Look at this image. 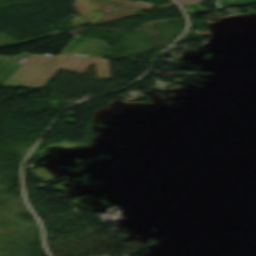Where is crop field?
<instances>
[{
	"mask_svg": "<svg viewBox=\"0 0 256 256\" xmlns=\"http://www.w3.org/2000/svg\"><path fill=\"white\" fill-rule=\"evenodd\" d=\"M93 63H96L97 79H110L107 59L32 54L3 85L40 89L59 69L84 75Z\"/></svg>",
	"mask_w": 256,
	"mask_h": 256,
	"instance_id": "1",
	"label": "crop field"
},
{
	"mask_svg": "<svg viewBox=\"0 0 256 256\" xmlns=\"http://www.w3.org/2000/svg\"><path fill=\"white\" fill-rule=\"evenodd\" d=\"M109 1L123 3V4L120 6L113 7L111 15H108V16H105L100 10L103 8L102 5L109 3L105 0H74L73 7H75L80 13H82L85 17H87L89 22H91L94 25L130 17L135 15L133 11L140 10L138 8H135L126 4H130L133 6H137V7H141L149 10H152L153 8L151 6L138 4L134 2L127 3L123 0H109ZM175 5L176 4L174 2H171V3L162 4L158 6L161 8H165V7L175 6Z\"/></svg>",
	"mask_w": 256,
	"mask_h": 256,
	"instance_id": "2",
	"label": "crop field"
},
{
	"mask_svg": "<svg viewBox=\"0 0 256 256\" xmlns=\"http://www.w3.org/2000/svg\"><path fill=\"white\" fill-rule=\"evenodd\" d=\"M111 49L103 40L75 36L60 54L104 58Z\"/></svg>",
	"mask_w": 256,
	"mask_h": 256,
	"instance_id": "3",
	"label": "crop field"
},
{
	"mask_svg": "<svg viewBox=\"0 0 256 256\" xmlns=\"http://www.w3.org/2000/svg\"><path fill=\"white\" fill-rule=\"evenodd\" d=\"M23 53L13 57L0 56V83L27 57Z\"/></svg>",
	"mask_w": 256,
	"mask_h": 256,
	"instance_id": "4",
	"label": "crop field"
},
{
	"mask_svg": "<svg viewBox=\"0 0 256 256\" xmlns=\"http://www.w3.org/2000/svg\"><path fill=\"white\" fill-rule=\"evenodd\" d=\"M219 9L253 3V0H214Z\"/></svg>",
	"mask_w": 256,
	"mask_h": 256,
	"instance_id": "5",
	"label": "crop field"
},
{
	"mask_svg": "<svg viewBox=\"0 0 256 256\" xmlns=\"http://www.w3.org/2000/svg\"><path fill=\"white\" fill-rule=\"evenodd\" d=\"M185 7L191 12V14L207 12V10L201 7L198 2L185 5Z\"/></svg>",
	"mask_w": 256,
	"mask_h": 256,
	"instance_id": "6",
	"label": "crop field"
},
{
	"mask_svg": "<svg viewBox=\"0 0 256 256\" xmlns=\"http://www.w3.org/2000/svg\"><path fill=\"white\" fill-rule=\"evenodd\" d=\"M180 4L182 3H186V2H190V1H194V0H177Z\"/></svg>",
	"mask_w": 256,
	"mask_h": 256,
	"instance_id": "7",
	"label": "crop field"
}]
</instances>
